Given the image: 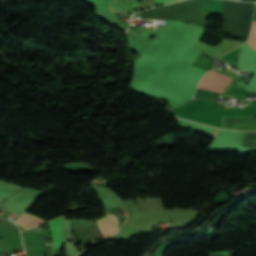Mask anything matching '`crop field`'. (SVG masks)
Here are the masks:
<instances>
[{"label":"crop field","instance_id":"crop-field-1","mask_svg":"<svg viewBox=\"0 0 256 256\" xmlns=\"http://www.w3.org/2000/svg\"><path fill=\"white\" fill-rule=\"evenodd\" d=\"M232 78V75L210 71L204 75L198 87L223 93Z\"/></svg>","mask_w":256,"mask_h":256},{"label":"crop field","instance_id":"crop-field-2","mask_svg":"<svg viewBox=\"0 0 256 256\" xmlns=\"http://www.w3.org/2000/svg\"><path fill=\"white\" fill-rule=\"evenodd\" d=\"M96 223L104 238L113 235L118 229L117 219L112 214H105L104 217L98 219Z\"/></svg>","mask_w":256,"mask_h":256},{"label":"crop field","instance_id":"crop-field-3","mask_svg":"<svg viewBox=\"0 0 256 256\" xmlns=\"http://www.w3.org/2000/svg\"><path fill=\"white\" fill-rule=\"evenodd\" d=\"M51 226L52 237H53V256H55V249L63 243V234H62V221L61 217L48 222Z\"/></svg>","mask_w":256,"mask_h":256},{"label":"crop field","instance_id":"crop-field-4","mask_svg":"<svg viewBox=\"0 0 256 256\" xmlns=\"http://www.w3.org/2000/svg\"><path fill=\"white\" fill-rule=\"evenodd\" d=\"M110 11L131 12L134 0H106Z\"/></svg>","mask_w":256,"mask_h":256},{"label":"crop field","instance_id":"crop-field-5","mask_svg":"<svg viewBox=\"0 0 256 256\" xmlns=\"http://www.w3.org/2000/svg\"><path fill=\"white\" fill-rule=\"evenodd\" d=\"M246 42L256 50V21H253L252 33Z\"/></svg>","mask_w":256,"mask_h":256},{"label":"crop field","instance_id":"crop-field-6","mask_svg":"<svg viewBox=\"0 0 256 256\" xmlns=\"http://www.w3.org/2000/svg\"><path fill=\"white\" fill-rule=\"evenodd\" d=\"M177 0H155V5L157 4H164V3H170V2H174Z\"/></svg>","mask_w":256,"mask_h":256}]
</instances>
